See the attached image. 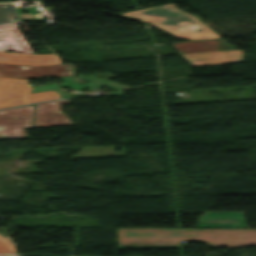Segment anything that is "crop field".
<instances>
[{
    "label": "crop field",
    "instance_id": "crop-field-1",
    "mask_svg": "<svg viewBox=\"0 0 256 256\" xmlns=\"http://www.w3.org/2000/svg\"><path fill=\"white\" fill-rule=\"evenodd\" d=\"M181 240H200L213 248L250 246L256 244V229H117L118 248L183 247Z\"/></svg>",
    "mask_w": 256,
    "mask_h": 256
},
{
    "label": "crop field",
    "instance_id": "crop-field-2",
    "mask_svg": "<svg viewBox=\"0 0 256 256\" xmlns=\"http://www.w3.org/2000/svg\"><path fill=\"white\" fill-rule=\"evenodd\" d=\"M120 15L151 23L177 38L197 40L221 37L195 16L176 9L173 3Z\"/></svg>",
    "mask_w": 256,
    "mask_h": 256
},
{
    "label": "crop field",
    "instance_id": "crop-field-3",
    "mask_svg": "<svg viewBox=\"0 0 256 256\" xmlns=\"http://www.w3.org/2000/svg\"><path fill=\"white\" fill-rule=\"evenodd\" d=\"M28 80L0 78V108L32 103L40 100L59 99L55 90L30 94Z\"/></svg>",
    "mask_w": 256,
    "mask_h": 256
},
{
    "label": "crop field",
    "instance_id": "crop-field-4",
    "mask_svg": "<svg viewBox=\"0 0 256 256\" xmlns=\"http://www.w3.org/2000/svg\"><path fill=\"white\" fill-rule=\"evenodd\" d=\"M34 105L0 111V139L29 138L23 128L30 127Z\"/></svg>",
    "mask_w": 256,
    "mask_h": 256
},
{
    "label": "crop field",
    "instance_id": "crop-field-5",
    "mask_svg": "<svg viewBox=\"0 0 256 256\" xmlns=\"http://www.w3.org/2000/svg\"><path fill=\"white\" fill-rule=\"evenodd\" d=\"M74 71L75 66L71 64L33 67L0 63V77L23 79L66 77L74 76Z\"/></svg>",
    "mask_w": 256,
    "mask_h": 256
},
{
    "label": "crop field",
    "instance_id": "crop-field-6",
    "mask_svg": "<svg viewBox=\"0 0 256 256\" xmlns=\"http://www.w3.org/2000/svg\"><path fill=\"white\" fill-rule=\"evenodd\" d=\"M66 103H70L69 100L37 103L32 127L72 124L61 111L60 105Z\"/></svg>",
    "mask_w": 256,
    "mask_h": 256
},
{
    "label": "crop field",
    "instance_id": "crop-field-7",
    "mask_svg": "<svg viewBox=\"0 0 256 256\" xmlns=\"http://www.w3.org/2000/svg\"><path fill=\"white\" fill-rule=\"evenodd\" d=\"M243 212H205L196 228H248Z\"/></svg>",
    "mask_w": 256,
    "mask_h": 256
},
{
    "label": "crop field",
    "instance_id": "crop-field-8",
    "mask_svg": "<svg viewBox=\"0 0 256 256\" xmlns=\"http://www.w3.org/2000/svg\"><path fill=\"white\" fill-rule=\"evenodd\" d=\"M243 50L214 51L180 55L192 66L242 62Z\"/></svg>",
    "mask_w": 256,
    "mask_h": 256
},
{
    "label": "crop field",
    "instance_id": "crop-field-9",
    "mask_svg": "<svg viewBox=\"0 0 256 256\" xmlns=\"http://www.w3.org/2000/svg\"><path fill=\"white\" fill-rule=\"evenodd\" d=\"M0 59L8 60L12 64L17 65H51V64H61L55 53L35 55L27 53H9L6 54L5 51H0Z\"/></svg>",
    "mask_w": 256,
    "mask_h": 256
},
{
    "label": "crop field",
    "instance_id": "crop-field-10",
    "mask_svg": "<svg viewBox=\"0 0 256 256\" xmlns=\"http://www.w3.org/2000/svg\"><path fill=\"white\" fill-rule=\"evenodd\" d=\"M104 75V74H101V76ZM110 76H103L105 77L106 79L108 78H112L114 77L113 75L109 74ZM91 78H88V77H84V76H80L79 78L81 79H85V80H88L90 81L89 83L87 84H82V85H79L78 83H76L74 80L78 79L76 77H67V78H60L63 82H65L64 84H60L61 87H72L74 89H78V90H83V88H87V89H92L91 87L89 86H93V87H100V86H105V87H109V88H112V89H116V90H119V89H122V88H127L128 86H124V85H121V84H117V83H113V82H109L107 80H103V79H100V78H97V77H94L92 75H90Z\"/></svg>",
    "mask_w": 256,
    "mask_h": 256
},
{
    "label": "crop field",
    "instance_id": "crop-field-11",
    "mask_svg": "<svg viewBox=\"0 0 256 256\" xmlns=\"http://www.w3.org/2000/svg\"><path fill=\"white\" fill-rule=\"evenodd\" d=\"M179 54L219 50V39L172 43Z\"/></svg>",
    "mask_w": 256,
    "mask_h": 256
},
{
    "label": "crop field",
    "instance_id": "crop-field-12",
    "mask_svg": "<svg viewBox=\"0 0 256 256\" xmlns=\"http://www.w3.org/2000/svg\"><path fill=\"white\" fill-rule=\"evenodd\" d=\"M119 146L122 152L115 151ZM100 156H126V150L122 145L83 147L77 155H72L71 159Z\"/></svg>",
    "mask_w": 256,
    "mask_h": 256
},
{
    "label": "crop field",
    "instance_id": "crop-field-13",
    "mask_svg": "<svg viewBox=\"0 0 256 256\" xmlns=\"http://www.w3.org/2000/svg\"><path fill=\"white\" fill-rule=\"evenodd\" d=\"M12 22H16L13 4H0V24Z\"/></svg>",
    "mask_w": 256,
    "mask_h": 256
},
{
    "label": "crop field",
    "instance_id": "crop-field-14",
    "mask_svg": "<svg viewBox=\"0 0 256 256\" xmlns=\"http://www.w3.org/2000/svg\"><path fill=\"white\" fill-rule=\"evenodd\" d=\"M0 253L16 254L14 246L6 239L0 236Z\"/></svg>",
    "mask_w": 256,
    "mask_h": 256
},
{
    "label": "crop field",
    "instance_id": "crop-field-15",
    "mask_svg": "<svg viewBox=\"0 0 256 256\" xmlns=\"http://www.w3.org/2000/svg\"><path fill=\"white\" fill-rule=\"evenodd\" d=\"M51 89H55L57 91V93L60 95L61 98L66 97L56 86V84L54 85H42V86H36L32 88V92H39V91H45V90H51Z\"/></svg>",
    "mask_w": 256,
    "mask_h": 256
},
{
    "label": "crop field",
    "instance_id": "crop-field-16",
    "mask_svg": "<svg viewBox=\"0 0 256 256\" xmlns=\"http://www.w3.org/2000/svg\"><path fill=\"white\" fill-rule=\"evenodd\" d=\"M0 62H3V63H9L8 61H0Z\"/></svg>",
    "mask_w": 256,
    "mask_h": 256
}]
</instances>
